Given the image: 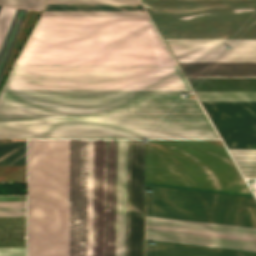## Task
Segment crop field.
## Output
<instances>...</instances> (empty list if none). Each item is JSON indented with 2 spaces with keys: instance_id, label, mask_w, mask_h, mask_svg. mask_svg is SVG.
<instances>
[{
  "instance_id": "1",
  "label": "crop field",
  "mask_w": 256,
  "mask_h": 256,
  "mask_svg": "<svg viewBox=\"0 0 256 256\" xmlns=\"http://www.w3.org/2000/svg\"><path fill=\"white\" fill-rule=\"evenodd\" d=\"M145 182L251 194L220 140H148ZM149 183L146 215L255 227L243 208L253 195ZM150 216L146 240L256 252V228ZM150 241L146 256H256Z\"/></svg>"
},
{
  "instance_id": "2",
  "label": "crop field",
  "mask_w": 256,
  "mask_h": 256,
  "mask_svg": "<svg viewBox=\"0 0 256 256\" xmlns=\"http://www.w3.org/2000/svg\"><path fill=\"white\" fill-rule=\"evenodd\" d=\"M192 91H0V138L219 139Z\"/></svg>"
},
{
  "instance_id": "3",
  "label": "crop field",
  "mask_w": 256,
  "mask_h": 256,
  "mask_svg": "<svg viewBox=\"0 0 256 256\" xmlns=\"http://www.w3.org/2000/svg\"><path fill=\"white\" fill-rule=\"evenodd\" d=\"M142 2L164 41H256V0ZM166 44L184 74L256 73V42ZM186 77L200 101H256V74Z\"/></svg>"
},
{
  "instance_id": "4",
  "label": "crop field",
  "mask_w": 256,
  "mask_h": 256,
  "mask_svg": "<svg viewBox=\"0 0 256 256\" xmlns=\"http://www.w3.org/2000/svg\"><path fill=\"white\" fill-rule=\"evenodd\" d=\"M69 140L28 141V256H68Z\"/></svg>"
},
{
  "instance_id": "5",
  "label": "crop field",
  "mask_w": 256,
  "mask_h": 256,
  "mask_svg": "<svg viewBox=\"0 0 256 256\" xmlns=\"http://www.w3.org/2000/svg\"><path fill=\"white\" fill-rule=\"evenodd\" d=\"M127 140H117L115 256H124ZM116 140H88L87 256H114Z\"/></svg>"
},
{
  "instance_id": "6",
  "label": "crop field",
  "mask_w": 256,
  "mask_h": 256,
  "mask_svg": "<svg viewBox=\"0 0 256 256\" xmlns=\"http://www.w3.org/2000/svg\"><path fill=\"white\" fill-rule=\"evenodd\" d=\"M1 90H190L178 67L13 66Z\"/></svg>"
},
{
  "instance_id": "7",
  "label": "crop field",
  "mask_w": 256,
  "mask_h": 256,
  "mask_svg": "<svg viewBox=\"0 0 256 256\" xmlns=\"http://www.w3.org/2000/svg\"><path fill=\"white\" fill-rule=\"evenodd\" d=\"M24 48H166L149 18L39 17Z\"/></svg>"
},
{
  "instance_id": "8",
  "label": "crop field",
  "mask_w": 256,
  "mask_h": 256,
  "mask_svg": "<svg viewBox=\"0 0 256 256\" xmlns=\"http://www.w3.org/2000/svg\"><path fill=\"white\" fill-rule=\"evenodd\" d=\"M14 65L176 66L168 49H22Z\"/></svg>"
},
{
  "instance_id": "9",
  "label": "crop field",
  "mask_w": 256,
  "mask_h": 256,
  "mask_svg": "<svg viewBox=\"0 0 256 256\" xmlns=\"http://www.w3.org/2000/svg\"><path fill=\"white\" fill-rule=\"evenodd\" d=\"M202 104L228 150H256V102H202ZM230 153L243 175H256V151H230Z\"/></svg>"
},
{
  "instance_id": "10",
  "label": "crop field",
  "mask_w": 256,
  "mask_h": 256,
  "mask_svg": "<svg viewBox=\"0 0 256 256\" xmlns=\"http://www.w3.org/2000/svg\"><path fill=\"white\" fill-rule=\"evenodd\" d=\"M125 256H144V140H128Z\"/></svg>"
},
{
  "instance_id": "11",
  "label": "crop field",
  "mask_w": 256,
  "mask_h": 256,
  "mask_svg": "<svg viewBox=\"0 0 256 256\" xmlns=\"http://www.w3.org/2000/svg\"><path fill=\"white\" fill-rule=\"evenodd\" d=\"M87 140H70L69 256H86Z\"/></svg>"
},
{
  "instance_id": "12",
  "label": "crop field",
  "mask_w": 256,
  "mask_h": 256,
  "mask_svg": "<svg viewBox=\"0 0 256 256\" xmlns=\"http://www.w3.org/2000/svg\"><path fill=\"white\" fill-rule=\"evenodd\" d=\"M26 218H0V248L25 247Z\"/></svg>"
},
{
  "instance_id": "13",
  "label": "crop field",
  "mask_w": 256,
  "mask_h": 256,
  "mask_svg": "<svg viewBox=\"0 0 256 256\" xmlns=\"http://www.w3.org/2000/svg\"><path fill=\"white\" fill-rule=\"evenodd\" d=\"M28 10L18 9L0 52V78Z\"/></svg>"
},
{
  "instance_id": "14",
  "label": "crop field",
  "mask_w": 256,
  "mask_h": 256,
  "mask_svg": "<svg viewBox=\"0 0 256 256\" xmlns=\"http://www.w3.org/2000/svg\"><path fill=\"white\" fill-rule=\"evenodd\" d=\"M44 11L145 12L142 6L47 5Z\"/></svg>"
},
{
  "instance_id": "15",
  "label": "crop field",
  "mask_w": 256,
  "mask_h": 256,
  "mask_svg": "<svg viewBox=\"0 0 256 256\" xmlns=\"http://www.w3.org/2000/svg\"><path fill=\"white\" fill-rule=\"evenodd\" d=\"M0 164H26V142H1Z\"/></svg>"
},
{
  "instance_id": "16",
  "label": "crop field",
  "mask_w": 256,
  "mask_h": 256,
  "mask_svg": "<svg viewBox=\"0 0 256 256\" xmlns=\"http://www.w3.org/2000/svg\"><path fill=\"white\" fill-rule=\"evenodd\" d=\"M42 16L147 17L146 13L43 12Z\"/></svg>"
},
{
  "instance_id": "17",
  "label": "crop field",
  "mask_w": 256,
  "mask_h": 256,
  "mask_svg": "<svg viewBox=\"0 0 256 256\" xmlns=\"http://www.w3.org/2000/svg\"><path fill=\"white\" fill-rule=\"evenodd\" d=\"M47 4L140 5L138 0H49Z\"/></svg>"
},
{
  "instance_id": "18",
  "label": "crop field",
  "mask_w": 256,
  "mask_h": 256,
  "mask_svg": "<svg viewBox=\"0 0 256 256\" xmlns=\"http://www.w3.org/2000/svg\"><path fill=\"white\" fill-rule=\"evenodd\" d=\"M16 8L2 6L0 9V50L13 20Z\"/></svg>"
},
{
  "instance_id": "19",
  "label": "crop field",
  "mask_w": 256,
  "mask_h": 256,
  "mask_svg": "<svg viewBox=\"0 0 256 256\" xmlns=\"http://www.w3.org/2000/svg\"><path fill=\"white\" fill-rule=\"evenodd\" d=\"M26 202L0 203V217H26Z\"/></svg>"
},
{
  "instance_id": "20",
  "label": "crop field",
  "mask_w": 256,
  "mask_h": 256,
  "mask_svg": "<svg viewBox=\"0 0 256 256\" xmlns=\"http://www.w3.org/2000/svg\"><path fill=\"white\" fill-rule=\"evenodd\" d=\"M46 0H0L1 5L42 10Z\"/></svg>"
},
{
  "instance_id": "21",
  "label": "crop field",
  "mask_w": 256,
  "mask_h": 256,
  "mask_svg": "<svg viewBox=\"0 0 256 256\" xmlns=\"http://www.w3.org/2000/svg\"><path fill=\"white\" fill-rule=\"evenodd\" d=\"M0 256H25V248L0 249Z\"/></svg>"
},
{
  "instance_id": "22",
  "label": "crop field",
  "mask_w": 256,
  "mask_h": 256,
  "mask_svg": "<svg viewBox=\"0 0 256 256\" xmlns=\"http://www.w3.org/2000/svg\"><path fill=\"white\" fill-rule=\"evenodd\" d=\"M1 7V6H0Z\"/></svg>"
}]
</instances>
